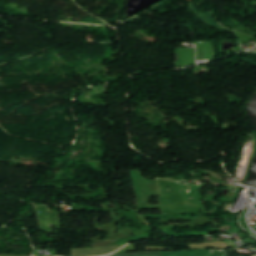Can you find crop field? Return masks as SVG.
I'll return each mask as SVG.
<instances>
[{"mask_svg":"<svg viewBox=\"0 0 256 256\" xmlns=\"http://www.w3.org/2000/svg\"><path fill=\"white\" fill-rule=\"evenodd\" d=\"M162 256H212L210 250L202 251H178V252H161ZM160 252H135L127 254H116L111 256H161Z\"/></svg>","mask_w":256,"mask_h":256,"instance_id":"8a807250","label":"crop field"},{"mask_svg":"<svg viewBox=\"0 0 256 256\" xmlns=\"http://www.w3.org/2000/svg\"><path fill=\"white\" fill-rule=\"evenodd\" d=\"M192 10L194 11V13L198 16V18L203 21L205 24H207L209 27L211 28H221L225 31H228L230 33L235 34L234 31H230L228 29H224L223 27H221L215 20L214 16L211 14V12H207V13H200L198 12L197 7L194 5V3L190 4ZM236 35V34H235Z\"/></svg>","mask_w":256,"mask_h":256,"instance_id":"ac0d7876","label":"crop field"},{"mask_svg":"<svg viewBox=\"0 0 256 256\" xmlns=\"http://www.w3.org/2000/svg\"><path fill=\"white\" fill-rule=\"evenodd\" d=\"M145 218H157V219H170V220H190V217H181L176 215H168V214H162V215H142Z\"/></svg>","mask_w":256,"mask_h":256,"instance_id":"34b2d1b8","label":"crop field"}]
</instances>
